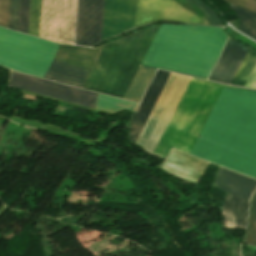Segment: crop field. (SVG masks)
<instances>
[{
    "instance_id": "crop-field-1",
    "label": "crop field",
    "mask_w": 256,
    "mask_h": 256,
    "mask_svg": "<svg viewBox=\"0 0 256 256\" xmlns=\"http://www.w3.org/2000/svg\"><path fill=\"white\" fill-rule=\"evenodd\" d=\"M199 137L190 155L256 178V92L224 87Z\"/></svg>"
},
{
    "instance_id": "crop-field-2",
    "label": "crop field",
    "mask_w": 256,
    "mask_h": 256,
    "mask_svg": "<svg viewBox=\"0 0 256 256\" xmlns=\"http://www.w3.org/2000/svg\"><path fill=\"white\" fill-rule=\"evenodd\" d=\"M227 39L222 28L161 25L142 64L208 78Z\"/></svg>"
},
{
    "instance_id": "crop-field-3",
    "label": "crop field",
    "mask_w": 256,
    "mask_h": 256,
    "mask_svg": "<svg viewBox=\"0 0 256 256\" xmlns=\"http://www.w3.org/2000/svg\"><path fill=\"white\" fill-rule=\"evenodd\" d=\"M157 29L103 46L92 70L132 80ZM93 71L83 89L123 98L131 81Z\"/></svg>"
},
{
    "instance_id": "crop-field-4",
    "label": "crop field",
    "mask_w": 256,
    "mask_h": 256,
    "mask_svg": "<svg viewBox=\"0 0 256 256\" xmlns=\"http://www.w3.org/2000/svg\"><path fill=\"white\" fill-rule=\"evenodd\" d=\"M222 87L191 78L154 155L165 158L170 148L189 154Z\"/></svg>"
},
{
    "instance_id": "crop-field-5",
    "label": "crop field",
    "mask_w": 256,
    "mask_h": 256,
    "mask_svg": "<svg viewBox=\"0 0 256 256\" xmlns=\"http://www.w3.org/2000/svg\"><path fill=\"white\" fill-rule=\"evenodd\" d=\"M59 45L0 28V64L44 77Z\"/></svg>"
},
{
    "instance_id": "crop-field-6",
    "label": "crop field",
    "mask_w": 256,
    "mask_h": 256,
    "mask_svg": "<svg viewBox=\"0 0 256 256\" xmlns=\"http://www.w3.org/2000/svg\"><path fill=\"white\" fill-rule=\"evenodd\" d=\"M190 78L171 73L137 144L154 152Z\"/></svg>"
},
{
    "instance_id": "crop-field-7",
    "label": "crop field",
    "mask_w": 256,
    "mask_h": 256,
    "mask_svg": "<svg viewBox=\"0 0 256 256\" xmlns=\"http://www.w3.org/2000/svg\"><path fill=\"white\" fill-rule=\"evenodd\" d=\"M102 47L91 50L84 47L61 45L54 61L70 64L73 66L91 70ZM52 62L45 78L57 82L82 87L89 70L73 67L70 65Z\"/></svg>"
},
{
    "instance_id": "crop-field-8",
    "label": "crop field",
    "mask_w": 256,
    "mask_h": 256,
    "mask_svg": "<svg viewBox=\"0 0 256 256\" xmlns=\"http://www.w3.org/2000/svg\"><path fill=\"white\" fill-rule=\"evenodd\" d=\"M76 0H43L40 37L73 44Z\"/></svg>"
},
{
    "instance_id": "crop-field-9",
    "label": "crop field",
    "mask_w": 256,
    "mask_h": 256,
    "mask_svg": "<svg viewBox=\"0 0 256 256\" xmlns=\"http://www.w3.org/2000/svg\"><path fill=\"white\" fill-rule=\"evenodd\" d=\"M9 86L93 108L97 96L96 93L56 84L16 72H12Z\"/></svg>"
},
{
    "instance_id": "crop-field-10",
    "label": "crop field",
    "mask_w": 256,
    "mask_h": 256,
    "mask_svg": "<svg viewBox=\"0 0 256 256\" xmlns=\"http://www.w3.org/2000/svg\"><path fill=\"white\" fill-rule=\"evenodd\" d=\"M157 20L203 24L173 0H137L135 27Z\"/></svg>"
},
{
    "instance_id": "crop-field-11",
    "label": "crop field",
    "mask_w": 256,
    "mask_h": 256,
    "mask_svg": "<svg viewBox=\"0 0 256 256\" xmlns=\"http://www.w3.org/2000/svg\"><path fill=\"white\" fill-rule=\"evenodd\" d=\"M103 0H78L75 44L100 42Z\"/></svg>"
},
{
    "instance_id": "crop-field-12",
    "label": "crop field",
    "mask_w": 256,
    "mask_h": 256,
    "mask_svg": "<svg viewBox=\"0 0 256 256\" xmlns=\"http://www.w3.org/2000/svg\"><path fill=\"white\" fill-rule=\"evenodd\" d=\"M136 0H105L101 42L134 27Z\"/></svg>"
},
{
    "instance_id": "crop-field-13",
    "label": "crop field",
    "mask_w": 256,
    "mask_h": 256,
    "mask_svg": "<svg viewBox=\"0 0 256 256\" xmlns=\"http://www.w3.org/2000/svg\"><path fill=\"white\" fill-rule=\"evenodd\" d=\"M170 73L157 70L136 114L134 115L131 126L129 139L136 143Z\"/></svg>"
},
{
    "instance_id": "crop-field-14",
    "label": "crop field",
    "mask_w": 256,
    "mask_h": 256,
    "mask_svg": "<svg viewBox=\"0 0 256 256\" xmlns=\"http://www.w3.org/2000/svg\"><path fill=\"white\" fill-rule=\"evenodd\" d=\"M247 49L229 38L209 79L230 84Z\"/></svg>"
},
{
    "instance_id": "crop-field-15",
    "label": "crop field",
    "mask_w": 256,
    "mask_h": 256,
    "mask_svg": "<svg viewBox=\"0 0 256 256\" xmlns=\"http://www.w3.org/2000/svg\"><path fill=\"white\" fill-rule=\"evenodd\" d=\"M205 162L171 150L167 160L158 166L173 175L197 182L207 164Z\"/></svg>"
},
{
    "instance_id": "crop-field-16",
    "label": "crop field",
    "mask_w": 256,
    "mask_h": 256,
    "mask_svg": "<svg viewBox=\"0 0 256 256\" xmlns=\"http://www.w3.org/2000/svg\"><path fill=\"white\" fill-rule=\"evenodd\" d=\"M214 186L249 201L256 187V181L220 168Z\"/></svg>"
},
{
    "instance_id": "crop-field-17",
    "label": "crop field",
    "mask_w": 256,
    "mask_h": 256,
    "mask_svg": "<svg viewBox=\"0 0 256 256\" xmlns=\"http://www.w3.org/2000/svg\"><path fill=\"white\" fill-rule=\"evenodd\" d=\"M249 202L227 193L223 218L224 227L245 228Z\"/></svg>"
},
{
    "instance_id": "crop-field-18",
    "label": "crop field",
    "mask_w": 256,
    "mask_h": 256,
    "mask_svg": "<svg viewBox=\"0 0 256 256\" xmlns=\"http://www.w3.org/2000/svg\"><path fill=\"white\" fill-rule=\"evenodd\" d=\"M155 69L140 65L124 99L139 102Z\"/></svg>"
},
{
    "instance_id": "crop-field-19",
    "label": "crop field",
    "mask_w": 256,
    "mask_h": 256,
    "mask_svg": "<svg viewBox=\"0 0 256 256\" xmlns=\"http://www.w3.org/2000/svg\"><path fill=\"white\" fill-rule=\"evenodd\" d=\"M137 104L99 95L97 97L96 109L97 112L113 114L118 111L126 110L132 111L135 109Z\"/></svg>"
},
{
    "instance_id": "crop-field-20",
    "label": "crop field",
    "mask_w": 256,
    "mask_h": 256,
    "mask_svg": "<svg viewBox=\"0 0 256 256\" xmlns=\"http://www.w3.org/2000/svg\"><path fill=\"white\" fill-rule=\"evenodd\" d=\"M229 5L239 17L241 23L240 30L256 39V13L232 4Z\"/></svg>"
},
{
    "instance_id": "crop-field-21",
    "label": "crop field",
    "mask_w": 256,
    "mask_h": 256,
    "mask_svg": "<svg viewBox=\"0 0 256 256\" xmlns=\"http://www.w3.org/2000/svg\"><path fill=\"white\" fill-rule=\"evenodd\" d=\"M255 63H256V53L248 49L231 84L244 86Z\"/></svg>"
},
{
    "instance_id": "crop-field-22",
    "label": "crop field",
    "mask_w": 256,
    "mask_h": 256,
    "mask_svg": "<svg viewBox=\"0 0 256 256\" xmlns=\"http://www.w3.org/2000/svg\"><path fill=\"white\" fill-rule=\"evenodd\" d=\"M42 0H31L28 33L38 36L40 31Z\"/></svg>"
},
{
    "instance_id": "crop-field-23",
    "label": "crop field",
    "mask_w": 256,
    "mask_h": 256,
    "mask_svg": "<svg viewBox=\"0 0 256 256\" xmlns=\"http://www.w3.org/2000/svg\"><path fill=\"white\" fill-rule=\"evenodd\" d=\"M245 241L249 245H256V192L254 193L250 203Z\"/></svg>"
},
{
    "instance_id": "crop-field-24",
    "label": "crop field",
    "mask_w": 256,
    "mask_h": 256,
    "mask_svg": "<svg viewBox=\"0 0 256 256\" xmlns=\"http://www.w3.org/2000/svg\"><path fill=\"white\" fill-rule=\"evenodd\" d=\"M29 3H30V0L19 1L17 30L26 32V33H27V27H28Z\"/></svg>"
},
{
    "instance_id": "crop-field-25",
    "label": "crop field",
    "mask_w": 256,
    "mask_h": 256,
    "mask_svg": "<svg viewBox=\"0 0 256 256\" xmlns=\"http://www.w3.org/2000/svg\"><path fill=\"white\" fill-rule=\"evenodd\" d=\"M191 1L207 18L210 25L222 26L219 17L200 0H186Z\"/></svg>"
},
{
    "instance_id": "crop-field-26",
    "label": "crop field",
    "mask_w": 256,
    "mask_h": 256,
    "mask_svg": "<svg viewBox=\"0 0 256 256\" xmlns=\"http://www.w3.org/2000/svg\"><path fill=\"white\" fill-rule=\"evenodd\" d=\"M18 1L19 0H10L8 28L14 30H16L17 25Z\"/></svg>"
},
{
    "instance_id": "crop-field-27",
    "label": "crop field",
    "mask_w": 256,
    "mask_h": 256,
    "mask_svg": "<svg viewBox=\"0 0 256 256\" xmlns=\"http://www.w3.org/2000/svg\"><path fill=\"white\" fill-rule=\"evenodd\" d=\"M9 0H0V26L7 28Z\"/></svg>"
},
{
    "instance_id": "crop-field-28",
    "label": "crop field",
    "mask_w": 256,
    "mask_h": 256,
    "mask_svg": "<svg viewBox=\"0 0 256 256\" xmlns=\"http://www.w3.org/2000/svg\"><path fill=\"white\" fill-rule=\"evenodd\" d=\"M226 1L256 12V0H226Z\"/></svg>"
},
{
    "instance_id": "crop-field-29",
    "label": "crop field",
    "mask_w": 256,
    "mask_h": 256,
    "mask_svg": "<svg viewBox=\"0 0 256 256\" xmlns=\"http://www.w3.org/2000/svg\"><path fill=\"white\" fill-rule=\"evenodd\" d=\"M245 86L256 88V65L250 74Z\"/></svg>"
},
{
    "instance_id": "crop-field-30",
    "label": "crop field",
    "mask_w": 256,
    "mask_h": 256,
    "mask_svg": "<svg viewBox=\"0 0 256 256\" xmlns=\"http://www.w3.org/2000/svg\"><path fill=\"white\" fill-rule=\"evenodd\" d=\"M1 119H5L6 120V118H3V117H0Z\"/></svg>"
}]
</instances>
